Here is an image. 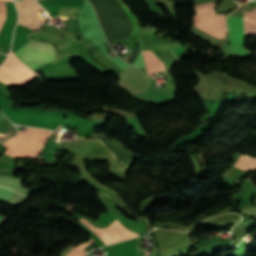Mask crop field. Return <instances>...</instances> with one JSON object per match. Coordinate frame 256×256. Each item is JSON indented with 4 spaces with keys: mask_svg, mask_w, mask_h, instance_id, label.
Instances as JSON below:
<instances>
[{
    "mask_svg": "<svg viewBox=\"0 0 256 256\" xmlns=\"http://www.w3.org/2000/svg\"><path fill=\"white\" fill-rule=\"evenodd\" d=\"M246 17L256 22V9L253 12H244Z\"/></svg>",
    "mask_w": 256,
    "mask_h": 256,
    "instance_id": "obj_13",
    "label": "crop field"
},
{
    "mask_svg": "<svg viewBox=\"0 0 256 256\" xmlns=\"http://www.w3.org/2000/svg\"><path fill=\"white\" fill-rule=\"evenodd\" d=\"M61 128H62V126L58 125V126H57V128H56L55 130L60 131V130H61Z\"/></svg>",
    "mask_w": 256,
    "mask_h": 256,
    "instance_id": "obj_14",
    "label": "crop field"
},
{
    "mask_svg": "<svg viewBox=\"0 0 256 256\" xmlns=\"http://www.w3.org/2000/svg\"><path fill=\"white\" fill-rule=\"evenodd\" d=\"M6 1H11V0H6Z\"/></svg>",
    "mask_w": 256,
    "mask_h": 256,
    "instance_id": "obj_16",
    "label": "crop field"
},
{
    "mask_svg": "<svg viewBox=\"0 0 256 256\" xmlns=\"http://www.w3.org/2000/svg\"><path fill=\"white\" fill-rule=\"evenodd\" d=\"M245 27V38L256 34V23L243 18ZM242 18L228 17L226 25L229 30L230 46L232 50L241 58L252 55L254 53L244 49V27Z\"/></svg>",
    "mask_w": 256,
    "mask_h": 256,
    "instance_id": "obj_4",
    "label": "crop field"
},
{
    "mask_svg": "<svg viewBox=\"0 0 256 256\" xmlns=\"http://www.w3.org/2000/svg\"><path fill=\"white\" fill-rule=\"evenodd\" d=\"M59 146H60V144L54 143L52 141V139L50 138L47 146L43 147V149H42V152H43L42 157L45 158L47 161H49L50 165H53L56 162L54 153H55L56 149L59 148Z\"/></svg>",
    "mask_w": 256,
    "mask_h": 256,
    "instance_id": "obj_9",
    "label": "crop field"
},
{
    "mask_svg": "<svg viewBox=\"0 0 256 256\" xmlns=\"http://www.w3.org/2000/svg\"><path fill=\"white\" fill-rule=\"evenodd\" d=\"M150 78L130 66L121 73L118 85L129 93H136L149 88ZM153 82L154 79H151L150 88L146 92L131 95L142 102H152L156 105L173 98L169 91L163 88L153 87Z\"/></svg>",
    "mask_w": 256,
    "mask_h": 256,
    "instance_id": "obj_1",
    "label": "crop field"
},
{
    "mask_svg": "<svg viewBox=\"0 0 256 256\" xmlns=\"http://www.w3.org/2000/svg\"><path fill=\"white\" fill-rule=\"evenodd\" d=\"M51 131L39 129L35 135L32 142L22 148L16 149L14 151L8 152L7 154L14 157H36L41 153L40 149L42 148L44 142L50 135Z\"/></svg>",
    "mask_w": 256,
    "mask_h": 256,
    "instance_id": "obj_8",
    "label": "crop field"
},
{
    "mask_svg": "<svg viewBox=\"0 0 256 256\" xmlns=\"http://www.w3.org/2000/svg\"><path fill=\"white\" fill-rule=\"evenodd\" d=\"M128 57H129V56H127V57H126V58H124V59H125V60H128Z\"/></svg>",
    "mask_w": 256,
    "mask_h": 256,
    "instance_id": "obj_15",
    "label": "crop field"
},
{
    "mask_svg": "<svg viewBox=\"0 0 256 256\" xmlns=\"http://www.w3.org/2000/svg\"><path fill=\"white\" fill-rule=\"evenodd\" d=\"M225 17L226 16L223 14L193 16V25L222 39L226 33V26L224 24Z\"/></svg>",
    "mask_w": 256,
    "mask_h": 256,
    "instance_id": "obj_6",
    "label": "crop field"
},
{
    "mask_svg": "<svg viewBox=\"0 0 256 256\" xmlns=\"http://www.w3.org/2000/svg\"><path fill=\"white\" fill-rule=\"evenodd\" d=\"M217 6L216 3H209L195 6V13L196 15H203V14H215V8Z\"/></svg>",
    "mask_w": 256,
    "mask_h": 256,
    "instance_id": "obj_11",
    "label": "crop field"
},
{
    "mask_svg": "<svg viewBox=\"0 0 256 256\" xmlns=\"http://www.w3.org/2000/svg\"><path fill=\"white\" fill-rule=\"evenodd\" d=\"M14 53L34 70L52 62L56 56L55 48L51 44L35 40L26 41Z\"/></svg>",
    "mask_w": 256,
    "mask_h": 256,
    "instance_id": "obj_2",
    "label": "crop field"
},
{
    "mask_svg": "<svg viewBox=\"0 0 256 256\" xmlns=\"http://www.w3.org/2000/svg\"><path fill=\"white\" fill-rule=\"evenodd\" d=\"M119 2H120V4H121V6H122V8H123V10H124V12H125V14L127 15V17H128V19H129V21H130V23H131V25H132V28H133V32L131 33V35L129 36V37H127V38H125V39H129V38H131V36L134 34V32L137 30V28H138V20H137V17L136 16H134L130 11H129V9L126 7V5L122 2V0H118ZM118 2V3H119ZM125 39H121V40H125ZM115 41V40H114Z\"/></svg>",
    "mask_w": 256,
    "mask_h": 256,
    "instance_id": "obj_10",
    "label": "crop field"
},
{
    "mask_svg": "<svg viewBox=\"0 0 256 256\" xmlns=\"http://www.w3.org/2000/svg\"><path fill=\"white\" fill-rule=\"evenodd\" d=\"M38 75L19 61L12 52L0 67V81L11 86H23Z\"/></svg>",
    "mask_w": 256,
    "mask_h": 256,
    "instance_id": "obj_3",
    "label": "crop field"
},
{
    "mask_svg": "<svg viewBox=\"0 0 256 256\" xmlns=\"http://www.w3.org/2000/svg\"><path fill=\"white\" fill-rule=\"evenodd\" d=\"M87 227H89L96 235L97 237L102 240L103 242L117 239L120 237L128 236L131 234H135L134 232H131L124 228L116 219L114 222H112L108 227L104 229H97L95 228L89 221L81 218L80 219Z\"/></svg>",
    "mask_w": 256,
    "mask_h": 256,
    "instance_id": "obj_7",
    "label": "crop field"
},
{
    "mask_svg": "<svg viewBox=\"0 0 256 256\" xmlns=\"http://www.w3.org/2000/svg\"><path fill=\"white\" fill-rule=\"evenodd\" d=\"M16 5L20 4L19 8V24L28 26L34 30H37L40 25L44 24L48 15L37 3L30 1H17L15 0Z\"/></svg>",
    "mask_w": 256,
    "mask_h": 256,
    "instance_id": "obj_5",
    "label": "crop field"
},
{
    "mask_svg": "<svg viewBox=\"0 0 256 256\" xmlns=\"http://www.w3.org/2000/svg\"><path fill=\"white\" fill-rule=\"evenodd\" d=\"M95 242L93 239H91L90 241L88 242H85L79 246H77L75 249H73L72 251H70L66 256H77V254L84 250L86 247H88L91 243ZM87 253V251L83 252V253H79L80 256H85ZM79 256V255H78Z\"/></svg>",
    "mask_w": 256,
    "mask_h": 256,
    "instance_id": "obj_12",
    "label": "crop field"
}]
</instances>
